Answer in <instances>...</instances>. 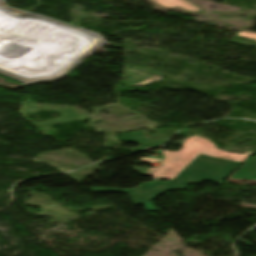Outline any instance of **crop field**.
<instances>
[{"label": "crop field", "mask_w": 256, "mask_h": 256, "mask_svg": "<svg viewBox=\"0 0 256 256\" xmlns=\"http://www.w3.org/2000/svg\"><path fill=\"white\" fill-rule=\"evenodd\" d=\"M184 146L179 152H164L165 159L158 169L134 167L145 175L155 176L157 181L143 183L130 190L90 188L93 192L122 191L128 193L135 205L142 204L148 211L156 212L151 200L169 190H184L189 184L212 181L220 184L253 152L244 155L227 153L211 141L194 136L177 143ZM159 179L169 182L159 183Z\"/></svg>", "instance_id": "crop-field-1"}, {"label": "crop field", "mask_w": 256, "mask_h": 256, "mask_svg": "<svg viewBox=\"0 0 256 256\" xmlns=\"http://www.w3.org/2000/svg\"><path fill=\"white\" fill-rule=\"evenodd\" d=\"M145 132H133V133H125L120 134V137L123 142H135L140 145L139 148H129L128 151L134 152V151H140L144 150L150 147L157 146L163 142L149 139L144 136Z\"/></svg>", "instance_id": "crop-field-2"}, {"label": "crop field", "mask_w": 256, "mask_h": 256, "mask_svg": "<svg viewBox=\"0 0 256 256\" xmlns=\"http://www.w3.org/2000/svg\"><path fill=\"white\" fill-rule=\"evenodd\" d=\"M230 179L256 180V157L240 168Z\"/></svg>", "instance_id": "crop-field-3"}, {"label": "crop field", "mask_w": 256, "mask_h": 256, "mask_svg": "<svg viewBox=\"0 0 256 256\" xmlns=\"http://www.w3.org/2000/svg\"><path fill=\"white\" fill-rule=\"evenodd\" d=\"M155 1V0H153ZM156 3H158L159 5L163 6V7H174V6H178L181 7L183 9L189 10V11H198L200 9L192 6L189 2L185 1V0H157Z\"/></svg>", "instance_id": "crop-field-4"}, {"label": "crop field", "mask_w": 256, "mask_h": 256, "mask_svg": "<svg viewBox=\"0 0 256 256\" xmlns=\"http://www.w3.org/2000/svg\"><path fill=\"white\" fill-rule=\"evenodd\" d=\"M236 35H239V36H241V37L251 38V39L256 40V33L239 32V33H236Z\"/></svg>", "instance_id": "crop-field-5"}, {"label": "crop field", "mask_w": 256, "mask_h": 256, "mask_svg": "<svg viewBox=\"0 0 256 256\" xmlns=\"http://www.w3.org/2000/svg\"><path fill=\"white\" fill-rule=\"evenodd\" d=\"M141 159H142V162H148V163H154V162L160 163L161 162V160L153 159V158H141Z\"/></svg>", "instance_id": "crop-field-6"}, {"label": "crop field", "mask_w": 256, "mask_h": 256, "mask_svg": "<svg viewBox=\"0 0 256 256\" xmlns=\"http://www.w3.org/2000/svg\"><path fill=\"white\" fill-rule=\"evenodd\" d=\"M147 152H151V153H161V152H155V151H147Z\"/></svg>", "instance_id": "crop-field-7"}]
</instances>
